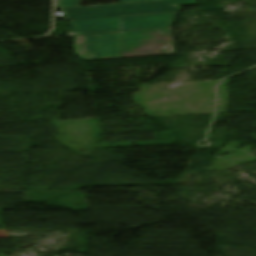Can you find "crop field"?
<instances>
[{
    "label": "crop field",
    "instance_id": "1",
    "mask_svg": "<svg viewBox=\"0 0 256 256\" xmlns=\"http://www.w3.org/2000/svg\"><path fill=\"white\" fill-rule=\"evenodd\" d=\"M119 33L75 36L83 60L118 58ZM175 54L170 29L122 32L120 58Z\"/></svg>",
    "mask_w": 256,
    "mask_h": 256
},
{
    "label": "crop field",
    "instance_id": "2",
    "mask_svg": "<svg viewBox=\"0 0 256 256\" xmlns=\"http://www.w3.org/2000/svg\"><path fill=\"white\" fill-rule=\"evenodd\" d=\"M198 0H165L63 9L66 21L179 12L180 5L197 4Z\"/></svg>",
    "mask_w": 256,
    "mask_h": 256
},
{
    "label": "crop field",
    "instance_id": "3",
    "mask_svg": "<svg viewBox=\"0 0 256 256\" xmlns=\"http://www.w3.org/2000/svg\"><path fill=\"white\" fill-rule=\"evenodd\" d=\"M176 14H158L71 22L72 35L170 28Z\"/></svg>",
    "mask_w": 256,
    "mask_h": 256
},
{
    "label": "crop field",
    "instance_id": "4",
    "mask_svg": "<svg viewBox=\"0 0 256 256\" xmlns=\"http://www.w3.org/2000/svg\"><path fill=\"white\" fill-rule=\"evenodd\" d=\"M80 7L79 0H57L56 9Z\"/></svg>",
    "mask_w": 256,
    "mask_h": 256
},
{
    "label": "crop field",
    "instance_id": "5",
    "mask_svg": "<svg viewBox=\"0 0 256 256\" xmlns=\"http://www.w3.org/2000/svg\"><path fill=\"white\" fill-rule=\"evenodd\" d=\"M124 3L141 2V1H153V0H122Z\"/></svg>",
    "mask_w": 256,
    "mask_h": 256
}]
</instances>
